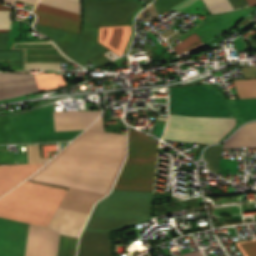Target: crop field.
<instances>
[{
    "instance_id": "crop-field-28",
    "label": "crop field",
    "mask_w": 256,
    "mask_h": 256,
    "mask_svg": "<svg viewBox=\"0 0 256 256\" xmlns=\"http://www.w3.org/2000/svg\"><path fill=\"white\" fill-rule=\"evenodd\" d=\"M183 1L184 0H155L154 7L160 15Z\"/></svg>"
},
{
    "instance_id": "crop-field-17",
    "label": "crop field",
    "mask_w": 256,
    "mask_h": 256,
    "mask_svg": "<svg viewBox=\"0 0 256 256\" xmlns=\"http://www.w3.org/2000/svg\"><path fill=\"white\" fill-rule=\"evenodd\" d=\"M130 34L131 26L99 28V43L122 55Z\"/></svg>"
},
{
    "instance_id": "crop-field-3",
    "label": "crop field",
    "mask_w": 256,
    "mask_h": 256,
    "mask_svg": "<svg viewBox=\"0 0 256 256\" xmlns=\"http://www.w3.org/2000/svg\"><path fill=\"white\" fill-rule=\"evenodd\" d=\"M153 193L112 190L96 203L77 256H112L109 232L150 220Z\"/></svg>"
},
{
    "instance_id": "crop-field-32",
    "label": "crop field",
    "mask_w": 256,
    "mask_h": 256,
    "mask_svg": "<svg viewBox=\"0 0 256 256\" xmlns=\"http://www.w3.org/2000/svg\"><path fill=\"white\" fill-rule=\"evenodd\" d=\"M25 70L29 69H51L61 70L60 64H24Z\"/></svg>"
},
{
    "instance_id": "crop-field-5",
    "label": "crop field",
    "mask_w": 256,
    "mask_h": 256,
    "mask_svg": "<svg viewBox=\"0 0 256 256\" xmlns=\"http://www.w3.org/2000/svg\"><path fill=\"white\" fill-rule=\"evenodd\" d=\"M81 131L83 130L54 132L51 104L0 118V144L67 141Z\"/></svg>"
},
{
    "instance_id": "crop-field-30",
    "label": "crop field",
    "mask_w": 256,
    "mask_h": 256,
    "mask_svg": "<svg viewBox=\"0 0 256 256\" xmlns=\"http://www.w3.org/2000/svg\"><path fill=\"white\" fill-rule=\"evenodd\" d=\"M28 163L46 162L50 158H40L38 145H27Z\"/></svg>"
},
{
    "instance_id": "crop-field-1",
    "label": "crop field",
    "mask_w": 256,
    "mask_h": 256,
    "mask_svg": "<svg viewBox=\"0 0 256 256\" xmlns=\"http://www.w3.org/2000/svg\"><path fill=\"white\" fill-rule=\"evenodd\" d=\"M126 135L103 130L102 116L30 179L69 188L59 207L90 213L123 164Z\"/></svg>"
},
{
    "instance_id": "crop-field-42",
    "label": "crop field",
    "mask_w": 256,
    "mask_h": 256,
    "mask_svg": "<svg viewBox=\"0 0 256 256\" xmlns=\"http://www.w3.org/2000/svg\"><path fill=\"white\" fill-rule=\"evenodd\" d=\"M74 1H78L79 2V0H74Z\"/></svg>"
},
{
    "instance_id": "crop-field-33",
    "label": "crop field",
    "mask_w": 256,
    "mask_h": 256,
    "mask_svg": "<svg viewBox=\"0 0 256 256\" xmlns=\"http://www.w3.org/2000/svg\"><path fill=\"white\" fill-rule=\"evenodd\" d=\"M9 15L10 11H0V27H10Z\"/></svg>"
},
{
    "instance_id": "crop-field-38",
    "label": "crop field",
    "mask_w": 256,
    "mask_h": 256,
    "mask_svg": "<svg viewBox=\"0 0 256 256\" xmlns=\"http://www.w3.org/2000/svg\"><path fill=\"white\" fill-rule=\"evenodd\" d=\"M249 6L256 5V0H246Z\"/></svg>"
},
{
    "instance_id": "crop-field-8",
    "label": "crop field",
    "mask_w": 256,
    "mask_h": 256,
    "mask_svg": "<svg viewBox=\"0 0 256 256\" xmlns=\"http://www.w3.org/2000/svg\"><path fill=\"white\" fill-rule=\"evenodd\" d=\"M235 125V119L169 115L162 139L187 143H216Z\"/></svg>"
},
{
    "instance_id": "crop-field-19",
    "label": "crop field",
    "mask_w": 256,
    "mask_h": 256,
    "mask_svg": "<svg viewBox=\"0 0 256 256\" xmlns=\"http://www.w3.org/2000/svg\"><path fill=\"white\" fill-rule=\"evenodd\" d=\"M237 147H256V122L243 126L223 143V148Z\"/></svg>"
},
{
    "instance_id": "crop-field-43",
    "label": "crop field",
    "mask_w": 256,
    "mask_h": 256,
    "mask_svg": "<svg viewBox=\"0 0 256 256\" xmlns=\"http://www.w3.org/2000/svg\"><path fill=\"white\" fill-rule=\"evenodd\" d=\"M149 139H152V138H149Z\"/></svg>"
},
{
    "instance_id": "crop-field-34",
    "label": "crop field",
    "mask_w": 256,
    "mask_h": 256,
    "mask_svg": "<svg viewBox=\"0 0 256 256\" xmlns=\"http://www.w3.org/2000/svg\"><path fill=\"white\" fill-rule=\"evenodd\" d=\"M93 62H94V64L96 65V66H99V65H105V64H108V63H110V62H112V61H110L109 59H107L105 56H100V57H98V58H96V59H94V60H92Z\"/></svg>"
},
{
    "instance_id": "crop-field-29",
    "label": "crop field",
    "mask_w": 256,
    "mask_h": 256,
    "mask_svg": "<svg viewBox=\"0 0 256 256\" xmlns=\"http://www.w3.org/2000/svg\"><path fill=\"white\" fill-rule=\"evenodd\" d=\"M236 245L239 247L244 256H256V239L245 242H237Z\"/></svg>"
},
{
    "instance_id": "crop-field-23",
    "label": "crop field",
    "mask_w": 256,
    "mask_h": 256,
    "mask_svg": "<svg viewBox=\"0 0 256 256\" xmlns=\"http://www.w3.org/2000/svg\"><path fill=\"white\" fill-rule=\"evenodd\" d=\"M78 238L60 234L58 256H75Z\"/></svg>"
},
{
    "instance_id": "crop-field-35",
    "label": "crop field",
    "mask_w": 256,
    "mask_h": 256,
    "mask_svg": "<svg viewBox=\"0 0 256 256\" xmlns=\"http://www.w3.org/2000/svg\"><path fill=\"white\" fill-rule=\"evenodd\" d=\"M196 0H186L185 2H183L182 4L172 8L171 10H175V11H182L183 9H185L187 6H189L190 4H192L193 2H195Z\"/></svg>"
},
{
    "instance_id": "crop-field-36",
    "label": "crop field",
    "mask_w": 256,
    "mask_h": 256,
    "mask_svg": "<svg viewBox=\"0 0 256 256\" xmlns=\"http://www.w3.org/2000/svg\"><path fill=\"white\" fill-rule=\"evenodd\" d=\"M183 255L184 256H203L200 251L189 252V253H185Z\"/></svg>"
},
{
    "instance_id": "crop-field-12",
    "label": "crop field",
    "mask_w": 256,
    "mask_h": 256,
    "mask_svg": "<svg viewBox=\"0 0 256 256\" xmlns=\"http://www.w3.org/2000/svg\"><path fill=\"white\" fill-rule=\"evenodd\" d=\"M245 10L242 9L236 12L210 16L183 34L179 39L182 40L195 32L201 38L200 41L205 44L230 29L227 26L229 22Z\"/></svg>"
},
{
    "instance_id": "crop-field-2",
    "label": "crop field",
    "mask_w": 256,
    "mask_h": 256,
    "mask_svg": "<svg viewBox=\"0 0 256 256\" xmlns=\"http://www.w3.org/2000/svg\"><path fill=\"white\" fill-rule=\"evenodd\" d=\"M143 6L134 0H83L81 35L34 24V28L48 36L59 49L80 66L107 52L98 43V27L131 25V18Z\"/></svg>"
},
{
    "instance_id": "crop-field-13",
    "label": "crop field",
    "mask_w": 256,
    "mask_h": 256,
    "mask_svg": "<svg viewBox=\"0 0 256 256\" xmlns=\"http://www.w3.org/2000/svg\"><path fill=\"white\" fill-rule=\"evenodd\" d=\"M37 91L32 74L0 72V100Z\"/></svg>"
},
{
    "instance_id": "crop-field-21",
    "label": "crop field",
    "mask_w": 256,
    "mask_h": 256,
    "mask_svg": "<svg viewBox=\"0 0 256 256\" xmlns=\"http://www.w3.org/2000/svg\"><path fill=\"white\" fill-rule=\"evenodd\" d=\"M34 76L36 78L39 91L66 85L61 74L56 75V73H50Z\"/></svg>"
},
{
    "instance_id": "crop-field-10",
    "label": "crop field",
    "mask_w": 256,
    "mask_h": 256,
    "mask_svg": "<svg viewBox=\"0 0 256 256\" xmlns=\"http://www.w3.org/2000/svg\"><path fill=\"white\" fill-rule=\"evenodd\" d=\"M59 234L29 224L25 256H56Z\"/></svg>"
},
{
    "instance_id": "crop-field-4",
    "label": "crop field",
    "mask_w": 256,
    "mask_h": 256,
    "mask_svg": "<svg viewBox=\"0 0 256 256\" xmlns=\"http://www.w3.org/2000/svg\"><path fill=\"white\" fill-rule=\"evenodd\" d=\"M65 192L25 181L0 198V217L47 227Z\"/></svg>"
},
{
    "instance_id": "crop-field-37",
    "label": "crop field",
    "mask_w": 256,
    "mask_h": 256,
    "mask_svg": "<svg viewBox=\"0 0 256 256\" xmlns=\"http://www.w3.org/2000/svg\"><path fill=\"white\" fill-rule=\"evenodd\" d=\"M3 1H5V2H7L9 4H11V2H12V0H3ZM25 1L32 2V3L36 4L38 0H25Z\"/></svg>"
},
{
    "instance_id": "crop-field-39",
    "label": "crop field",
    "mask_w": 256,
    "mask_h": 256,
    "mask_svg": "<svg viewBox=\"0 0 256 256\" xmlns=\"http://www.w3.org/2000/svg\"><path fill=\"white\" fill-rule=\"evenodd\" d=\"M0 10H10V8L0 4Z\"/></svg>"
},
{
    "instance_id": "crop-field-22",
    "label": "crop field",
    "mask_w": 256,
    "mask_h": 256,
    "mask_svg": "<svg viewBox=\"0 0 256 256\" xmlns=\"http://www.w3.org/2000/svg\"><path fill=\"white\" fill-rule=\"evenodd\" d=\"M233 84L240 98L256 97V79L235 80Z\"/></svg>"
},
{
    "instance_id": "crop-field-31",
    "label": "crop field",
    "mask_w": 256,
    "mask_h": 256,
    "mask_svg": "<svg viewBox=\"0 0 256 256\" xmlns=\"http://www.w3.org/2000/svg\"><path fill=\"white\" fill-rule=\"evenodd\" d=\"M0 30H12V28H0ZM12 31H0V49H9Z\"/></svg>"
},
{
    "instance_id": "crop-field-41",
    "label": "crop field",
    "mask_w": 256,
    "mask_h": 256,
    "mask_svg": "<svg viewBox=\"0 0 256 256\" xmlns=\"http://www.w3.org/2000/svg\"><path fill=\"white\" fill-rule=\"evenodd\" d=\"M162 121L156 120V123H161Z\"/></svg>"
},
{
    "instance_id": "crop-field-15",
    "label": "crop field",
    "mask_w": 256,
    "mask_h": 256,
    "mask_svg": "<svg viewBox=\"0 0 256 256\" xmlns=\"http://www.w3.org/2000/svg\"><path fill=\"white\" fill-rule=\"evenodd\" d=\"M44 164L0 165V196L30 176Z\"/></svg>"
},
{
    "instance_id": "crop-field-14",
    "label": "crop field",
    "mask_w": 256,
    "mask_h": 256,
    "mask_svg": "<svg viewBox=\"0 0 256 256\" xmlns=\"http://www.w3.org/2000/svg\"><path fill=\"white\" fill-rule=\"evenodd\" d=\"M87 214L58 208L48 227L63 235L78 237Z\"/></svg>"
},
{
    "instance_id": "crop-field-27",
    "label": "crop field",
    "mask_w": 256,
    "mask_h": 256,
    "mask_svg": "<svg viewBox=\"0 0 256 256\" xmlns=\"http://www.w3.org/2000/svg\"><path fill=\"white\" fill-rule=\"evenodd\" d=\"M203 1L206 4L209 11L211 12V14L223 13L225 11L233 10L227 0H203Z\"/></svg>"
},
{
    "instance_id": "crop-field-20",
    "label": "crop field",
    "mask_w": 256,
    "mask_h": 256,
    "mask_svg": "<svg viewBox=\"0 0 256 256\" xmlns=\"http://www.w3.org/2000/svg\"><path fill=\"white\" fill-rule=\"evenodd\" d=\"M240 121L256 118V99H230Z\"/></svg>"
},
{
    "instance_id": "crop-field-25",
    "label": "crop field",
    "mask_w": 256,
    "mask_h": 256,
    "mask_svg": "<svg viewBox=\"0 0 256 256\" xmlns=\"http://www.w3.org/2000/svg\"><path fill=\"white\" fill-rule=\"evenodd\" d=\"M198 39L199 37L194 33L173 48L178 54L184 53L192 48L201 45L202 43Z\"/></svg>"
},
{
    "instance_id": "crop-field-6",
    "label": "crop field",
    "mask_w": 256,
    "mask_h": 256,
    "mask_svg": "<svg viewBox=\"0 0 256 256\" xmlns=\"http://www.w3.org/2000/svg\"><path fill=\"white\" fill-rule=\"evenodd\" d=\"M157 146L158 141L129 130L126 162L114 189L153 192Z\"/></svg>"
},
{
    "instance_id": "crop-field-26",
    "label": "crop field",
    "mask_w": 256,
    "mask_h": 256,
    "mask_svg": "<svg viewBox=\"0 0 256 256\" xmlns=\"http://www.w3.org/2000/svg\"><path fill=\"white\" fill-rule=\"evenodd\" d=\"M40 3L79 13V3L71 0H40Z\"/></svg>"
},
{
    "instance_id": "crop-field-18",
    "label": "crop field",
    "mask_w": 256,
    "mask_h": 256,
    "mask_svg": "<svg viewBox=\"0 0 256 256\" xmlns=\"http://www.w3.org/2000/svg\"><path fill=\"white\" fill-rule=\"evenodd\" d=\"M24 43H51L52 44L51 41L24 42ZM15 44H20V43H14V45ZM51 44H21V45H15L14 48H19V47H53L54 45L52 44L53 45L52 46ZM19 49H24V63H25V48H19ZM55 49L57 50L56 47H55ZM55 49H26V55H60L61 53L57 50L60 53L59 54ZM62 56H26V62H68V61H70L65 56H63V57H65L68 61L66 59H64Z\"/></svg>"
},
{
    "instance_id": "crop-field-9",
    "label": "crop field",
    "mask_w": 256,
    "mask_h": 256,
    "mask_svg": "<svg viewBox=\"0 0 256 256\" xmlns=\"http://www.w3.org/2000/svg\"><path fill=\"white\" fill-rule=\"evenodd\" d=\"M28 224L0 218V256H24Z\"/></svg>"
},
{
    "instance_id": "crop-field-7",
    "label": "crop field",
    "mask_w": 256,
    "mask_h": 256,
    "mask_svg": "<svg viewBox=\"0 0 256 256\" xmlns=\"http://www.w3.org/2000/svg\"><path fill=\"white\" fill-rule=\"evenodd\" d=\"M169 112L174 115L230 117L224 98L208 85L168 88Z\"/></svg>"
},
{
    "instance_id": "crop-field-40",
    "label": "crop field",
    "mask_w": 256,
    "mask_h": 256,
    "mask_svg": "<svg viewBox=\"0 0 256 256\" xmlns=\"http://www.w3.org/2000/svg\"><path fill=\"white\" fill-rule=\"evenodd\" d=\"M144 1H146V2H148V3L152 2V0H144Z\"/></svg>"
},
{
    "instance_id": "crop-field-24",
    "label": "crop field",
    "mask_w": 256,
    "mask_h": 256,
    "mask_svg": "<svg viewBox=\"0 0 256 256\" xmlns=\"http://www.w3.org/2000/svg\"><path fill=\"white\" fill-rule=\"evenodd\" d=\"M220 147L221 145H216L205 151V160L208 163L207 166L213 172H218Z\"/></svg>"
},
{
    "instance_id": "crop-field-11",
    "label": "crop field",
    "mask_w": 256,
    "mask_h": 256,
    "mask_svg": "<svg viewBox=\"0 0 256 256\" xmlns=\"http://www.w3.org/2000/svg\"><path fill=\"white\" fill-rule=\"evenodd\" d=\"M33 12L37 16L36 23L80 34L81 15L40 4Z\"/></svg>"
},
{
    "instance_id": "crop-field-16",
    "label": "crop field",
    "mask_w": 256,
    "mask_h": 256,
    "mask_svg": "<svg viewBox=\"0 0 256 256\" xmlns=\"http://www.w3.org/2000/svg\"><path fill=\"white\" fill-rule=\"evenodd\" d=\"M102 111L53 113L55 131L87 128Z\"/></svg>"
}]
</instances>
